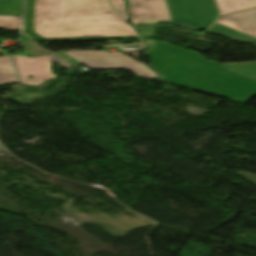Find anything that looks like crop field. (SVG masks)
Instances as JSON below:
<instances>
[{"instance_id":"d1516ede","label":"crop field","mask_w":256,"mask_h":256,"mask_svg":"<svg viewBox=\"0 0 256 256\" xmlns=\"http://www.w3.org/2000/svg\"><path fill=\"white\" fill-rule=\"evenodd\" d=\"M21 19L0 17V28L7 30H19Z\"/></svg>"},{"instance_id":"28ad6ade","label":"crop field","mask_w":256,"mask_h":256,"mask_svg":"<svg viewBox=\"0 0 256 256\" xmlns=\"http://www.w3.org/2000/svg\"><path fill=\"white\" fill-rule=\"evenodd\" d=\"M226 68L240 73L244 76L250 77L256 80V62L255 63H231L222 64Z\"/></svg>"},{"instance_id":"22f410ed","label":"crop field","mask_w":256,"mask_h":256,"mask_svg":"<svg viewBox=\"0 0 256 256\" xmlns=\"http://www.w3.org/2000/svg\"><path fill=\"white\" fill-rule=\"evenodd\" d=\"M113 7L128 22L129 17L126 10L125 0H111Z\"/></svg>"},{"instance_id":"dd49c442","label":"crop field","mask_w":256,"mask_h":256,"mask_svg":"<svg viewBox=\"0 0 256 256\" xmlns=\"http://www.w3.org/2000/svg\"><path fill=\"white\" fill-rule=\"evenodd\" d=\"M21 76V83L37 86L38 84L57 78V75L51 71V59L62 65L66 69L72 66L59 59L55 55H47L38 58H27L26 56L13 55ZM33 76V79H29Z\"/></svg>"},{"instance_id":"412701ff","label":"crop field","mask_w":256,"mask_h":256,"mask_svg":"<svg viewBox=\"0 0 256 256\" xmlns=\"http://www.w3.org/2000/svg\"><path fill=\"white\" fill-rule=\"evenodd\" d=\"M65 53L91 70L124 69L139 76L157 80V74L122 53L109 54L103 51H66Z\"/></svg>"},{"instance_id":"5a996713","label":"crop field","mask_w":256,"mask_h":256,"mask_svg":"<svg viewBox=\"0 0 256 256\" xmlns=\"http://www.w3.org/2000/svg\"><path fill=\"white\" fill-rule=\"evenodd\" d=\"M20 46L26 51L29 57H38L46 54H50L45 48L31 40L26 35L21 36Z\"/></svg>"},{"instance_id":"f4fd0767","label":"crop field","mask_w":256,"mask_h":256,"mask_svg":"<svg viewBox=\"0 0 256 256\" xmlns=\"http://www.w3.org/2000/svg\"><path fill=\"white\" fill-rule=\"evenodd\" d=\"M207 32L239 42L256 43V8L223 16Z\"/></svg>"},{"instance_id":"cbeb9de0","label":"crop field","mask_w":256,"mask_h":256,"mask_svg":"<svg viewBox=\"0 0 256 256\" xmlns=\"http://www.w3.org/2000/svg\"><path fill=\"white\" fill-rule=\"evenodd\" d=\"M157 41H154V42H150V43H145L143 45L146 46V50L149 51L153 46L154 44L156 43Z\"/></svg>"},{"instance_id":"733c2abd","label":"crop field","mask_w":256,"mask_h":256,"mask_svg":"<svg viewBox=\"0 0 256 256\" xmlns=\"http://www.w3.org/2000/svg\"><path fill=\"white\" fill-rule=\"evenodd\" d=\"M254 130H256V129H254Z\"/></svg>"},{"instance_id":"ac0d7876","label":"crop field","mask_w":256,"mask_h":256,"mask_svg":"<svg viewBox=\"0 0 256 256\" xmlns=\"http://www.w3.org/2000/svg\"><path fill=\"white\" fill-rule=\"evenodd\" d=\"M146 55L164 82L245 104L256 96V82L185 49L157 42Z\"/></svg>"},{"instance_id":"34b2d1b8","label":"crop field","mask_w":256,"mask_h":256,"mask_svg":"<svg viewBox=\"0 0 256 256\" xmlns=\"http://www.w3.org/2000/svg\"><path fill=\"white\" fill-rule=\"evenodd\" d=\"M134 27L156 37L155 24L169 22L193 30L206 29L218 18L213 0H127Z\"/></svg>"},{"instance_id":"5142ce71","label":"crop field","mask_w":256,"mask_h":256,"mask_svg":"<svg viewBox=\"0 0 256 256\" xmlns=\"http://www.w3.org/2000/svg\"><path fill=\"white\" fill-rule=\"evenodd\" d=\"M148 67L155 71L153 65H150V66H148ZM155 72H156V71H155Z\"/></svg>"},{"instance_id":"3316defc","label":"crop field","mask_w":256,"mask_h":256,"mask_svg":"<svg viewBox=\"0 0 256 256\" xmlns=\"http://www.w3.org/2000/svg\"><path fill=\"white\" fill-rule=\"evenodd\" d=\"M23 0H0V15L21 16Z\"/></svg>"},{"instance_id":"8a807250","label":"crop field","mask_w":256,"mask_h":256,"mask_svg":"<svg viewBox=\"0 0 256 256\" xmlns=\"http://www.w3.org/2000/svg\"><path fill=\"white\" fill-rule=\"evenodd\" d=\"M25 33L40 41L139 38L107 0H27Z\"/></svg>"},{"instance_id":"d9b57169","label":"crop field","mask_w":256,"mask_h":256,"mask_svg":"<svg viewBox=\"0 0 256 256\" xmlns=\"http://www.w3.org/2000/svg\"><path fill=\"white\" fill-rule=\"evenodd\" d=\"M147 40H150V39H145V38H142V41H147Z\"/></svg>"},{"instance_id":"d8731c3e","label":"crop field","mask_w":256,"mask_h":256,"mask_svg":"<svg viewBox=\"0 0 256 256\" xmlns=\"http://www.w3.org/2000/svg\"><path fill=\"white\" fill-rule=\"evenodd\" d=\"M221 15L256 7V0H216Z\"/></svg>"},{"instance_id":"e52e79f7","label":"crop field","mask_w":256,"mask_h":256,"mask_svg":"<svg viewBox=\"0 0 256 256\" xmlns=\"http://www.w3.org/2000/svg\"><path fill=\"white\" fill-rule=\"evenodd\" d=\"M18 82L11 56L0 57V86Z\"/></svg>"}]
</instances>
